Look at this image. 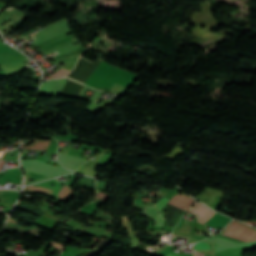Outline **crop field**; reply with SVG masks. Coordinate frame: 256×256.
Instances as JSON below:
<instances>
[{
    "label": "crop field",
    "mask_w": 256,
    "mask_h": 256,
    "mask_svg": "<svg viewBox=\"0 0 256 256\" xmlns=\"http://www.w3.org/2000/svg\"><path fill=\"white\" fill-rule=\"evenodd\" d=\"M198 204H200V203H197L192 209H191V211L190 212H192V210L198 205ZM203 205V204H202ZM201 204L200 205H198L195 209H194V211L192 212V213H194L195 215H197V216H199L198 217V221L200 222V223H202V224H204L206 221H208V219L212 216V215H214L216 212H214V211H211V210H209L208 208H206V207H204V206H202ZM197 221V222H198Z\"/></svg>",
    "instance_id": "obj_3"
},
{
    "label": "crop field",
    "mask_w": 256,
    "mask_h": 256,
    "mask_svg": "<svg viewBox=\"0 0 256 256\" xmlns=\"http://www.w3.org/2000/svg\"><path fill=\"white\" fill-rule=\"evenodd\" d=\"M80 56H81V54L74 55V56H71V57H68V58H65V59H62V60L54 61V63L58 64V63H63V62L76 60V59H79Z\"/></svg>",
    "instance_id": "obj_9"
},
{
    "label": "crop field",
    "mask_w": 256,
    "mask_h": 256,
    "mask_svg": "<svg viewBox=\"0 0 256 256\" xmlns=\"http://www.w3.org/2000/svg\"><path fill=\"white\" fill-rule=\"evenodd\" d=\"M51 242H52V241H51ZM52 243H54V244H53L54 247H56V248H58V249H60V250H61L62 247H63V245H61V244H59V243H56V242H52Z\"/></svg>",
    "instance_id": "obj_13"
},
{
    "label": "crop field",
    "mask_w": 256,
    "mask_h": 256,
    "mask_svg": "<svg viewBox=\"0 0 256 256\" xmlns=\"http://www.w3.org/2000/svg\"><path fill=\"white\" fill-rule=\"evenodd\" d=\"M50 141L47 140H39L36 139L34 143H32L31 145L23 148V149H40V150H46V148L48 147Z\"/></svg>",
    "instance_id": "obj_4"
},
{
    "label": "crop field",
    "mask_w": 256,
    "mask_h": 256,
    "mask_svg": "<svg viewBox=\"0 0 256 256\" xmlns=\"http://www.w3.org/2000/svg\"><path fill=\"white\" fill-rule=\"evenodd\" d=\"M167 256H178V255H174V254L169 253Z\"/></svg>",
    "instance_id": "obj_16"
},
{
    "label": "crop field",
    "mask_w": 256,
    "mask_h": 256,
    "mask_svg": "<svg viewBox=\"0 0 256 256\" xmlns=\"http://www.w3.org/2000/svg\"><path fill=\"white\" fill-rule=\"evenodd\" d=\"M219 235L244 242L256 241V229L235 220L229 223Z\"/></svg>",
    "instance_id": "obj_1"
},
{
    "label": "crop field",
    "mask_w": 256,
    "mask_h": 256,
    "mask_svg": "<svg viewBox=\"0 0 256 256\" xmlns=\"http://www.w3.org/2000/svg\"><path fill=\"white\" fill-rule=\"evenodd\" d=\"M69 71H66L64 69H61L59 71H57L56 73L50 75L52 78H60V77H64L66 74H68Z\"/></svg>",
    "instance_id": "obj_8"
},
{
    "label": "crop field",
    "mask_w": 256,
    "mask_h": 256,
    "mask_svg": "<svg viewBox=\"0 0 256 256\" xmlns=\"http://www.w3.org/2000/svg\"><path fill=\"white\" fill-rule=\"evenodd\" d=\"M72 196H74L72 188L70 186L64 185L59 193V201L64 202Z\"/></svg>",
    "instance_id": "obj_5"
},
{
    "label": "crop field",
    "mask_w": 256,
    "mask_h": 256,
    "mask_svg": "<svg viewBox=\"0 0 256 256\" xmlns=\"http://www.w3.org/2000/svg\"><path fill=\"white\" fill-rule=\"evenodd\" d=\"M24 192H39V193H43L45 195H48L51 197L52 195V190H49L47 188H44V187H39V186H29V187H25L24 188Z\"/></svg>",
    "instance_id": "obj_6"
},
{
    "label": "crop field",
    "mask_w": 256,
    "mask_h": 256,
    "mask_svg": "<svg viewBox=\"0 0 256 256\" xmlns=\"http://www.w3.org/2000/svg\"><path fill=\"white\" fill-rule=\"evenodd\" d=\"M163 223V217L161 216V214L159 213V215L156 217L154 225L156 226H162Z\"/></svg>",
    "instance_id": "obj_11"
},
{
    "label": "crop field",
    "mask_w": 256,
    "mask_h": 256,
    "mask_svg": "<svg viewBox=\"0 0 256 256\" xmlns=\"http://www.w3.org/2000/svg\"><path fill=\"white\" fill-rule=\"evenodd\" d=\"M195 249H210L207 243L194 244Z\"/></svg>",
    "instance_id": "obj_10"
},
{
    "label": "crop field",
    "mask_w": 256,
    "mask_h": 256,
    "mask_svg": "<svg viewBox=\"0 0 256 256\" xmlns=\"http://www.w3.org/2000/svg\"><path fill=\"white\" fill-rule=\"evenodd\" d=\"M194 256H204V254L195 251Z\"/></svg>",
    "instance_id": "obj_14"
},
{
    "label": "crop field",
    "mask_w": 256,
    "mask_h": 256,
    "mask_svg": "<svg viewBox=\"0 0 256 256\" xmlns=\"http://www.w3.org/2000/svg\"><path fill=\"white\" fill-rule=\"evenodd\" d=\"M168 201V199H164V198H162L160 201H158L155 205H156V207L159 209V211H160V209L165 205V203Z\"/></svg>",
    "instance_id": "obj_12"
},
{
    "label": "crop field",
    "mask_w": 256,
    "mask_h": 256,
    "mask_svg": "<svg viewBox=\"0 0 256 256\" xmlns=\"http://www.w3.org/2000/svg\"><path fill=\"white\" fill-rule=\"evenodd\" d=\"M188 196L184 193L182 195L177 194L168 203L187 211L196 202Z\"/></svg>",
    "instance_id": "obj_2"
},
{
    "label": "crop field",
    "mask_w": 256,
    "mask_h": 256,
    "mask_svg": "<svg viewBox=\"0 0 256 256\" xmlns=\"http://www.w3.org/2000/svg\"><path fill=\"white\" fill-rule=\"evenodd\" d=\"M3 163H4V160H0V171H1V168L3 166Z\"/></svg>",
    "instance_id": "obj_15"
},
{
    "label": "crop field",
    "mask_w": 256,
    "mask_h": 256,
    "mask_svg": "<svg viewBox=\"0 0 256 256\" xmlns=\"http://www.w3.org/2000/svg\"><path fill=\"white\" fill-rule=\"evenodd\" d=\"M157 210L155 207H145L142 211V213H148L147 216L148 217H153L155 218L156 214H157Z\"/></svg>",
    "instance_id": "obj_7"
}]
</instances>
